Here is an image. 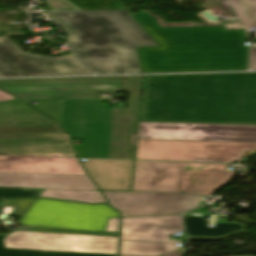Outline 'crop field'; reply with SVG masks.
I'll use <instances>...</instances> for the list:
<instances>
[{"label": "crop field", "mask_w": 256, "mask_h": 256, "mask_svg": "<svg viewBox=\"0 0 256 256\" xmlns=\"http://www.w3.org/2000/svg\"><path fill=\"white\" fill-rule=\"evenodd\" d=\"M141 120L256 124V72L145 76Z\"/></svg>", "instance_id": "crop-field-1"}, {"label": "crop field", "mask_w": 256, "mask_h": 256, "mask_svg": "<svg viewBox=\"0 0 256 256\" xmlns=\"http://www.w3.org/2000/svg\"><path fill=\"white\" fill-rule=\"evenodd\" d=\"M133 16L162 45L139 48L145 73L245 70L244 29L161 28L147 12Z\"/></svg>", "instance_id": "crop-field-2"}, {"label": "crop field", "mask_w": 256, "mask_h": 256, "mask_svg": "<svg viewBox=\"0 0 256 256\" xmlns=\"http://www.w3.org/2000/svg\"><path fill=\"white\" fill-rule=\"evenodd\" d=\"M48 13L68 35L65 43L96 74L141 73L135 47L158 46L125 10Z\"/></svg>", "instance_id": "crop-field-3"}, {"label": "crop field", "mask_w": 256, "mask_h": 256, "mask_svg": "<svg viewBox=\"0 0 256 256\" xmlns=\"http://www.w3.org/2000/svg\"><path fill=\"white\" fill-rule=\"evenodd\" d=\"M142 76H129L128 108H109L102 100H65L61 126L80 157L133 159Z\"/></svg>", "instance_id": "crop-field-4"}, {"label": "crop field", "mask_w": 256, "mask_h": 256, "mask_svg": "<svg viewBox=\"0 0 256 256\" xmlns=\"http://www.w3.org/2000/svg\"><path fill=\"white\" fill-rule=\"evenodd\" d=\"M235 172L225 164L136 161L132 191L185 192L211 196Z\"/></svg>", "instance_id": "crop-field-5"}, {"label": "crop field", "mask_w": 256, "mask_h": 256, "mask_svg": "<svg viewBox=\"0 0 256 256\" xmlns=\"http://www.w3.org/2000/svg\"><path fill=\"white\" fill-rule=\"evenodd\" d=\"M114 217H119V212L108 204L91 205L38 198L17 223L105 231L108 218Z\"/></svg>", "instance_id": "crop-field-6"}, {"label": "crop field", "mask_w": 256, "mask_h": 256, "mask_svg": "<svg viewBox=\"0 0 256 256\" xmlns=\"http://www.w3.org/2000/svg\"><path fill=\"white\" fill-rule=\"evenodd\" d=\"M124 76L0 80V89L22 99L99 98L100 91H122Z\"/></svg>", "instance_id": "crop-field-7"}, {"label": "crop field", "mask_w": 256, "mask_h": 256, "mask_svg": "<svg viewBox=\"0 0 256 256\" xmlns=\"http://www.w3.org/2000/svg\"><path fill=\"white\" fill-rule=\"evenodd\" d=\"M255 143L138 139L136 159L240 162Z\"/></svg>", "instance_id": "crop-field-8"}, {"label": "crop field", "mask_w": 256, "mask_h": 256, "mask_svg": "<svg viewBox=\"0 0 256 256\" xmlns=\"http://www.w3.org/2000/svg\"><path fill=\"white\" fill-rule=\"evenodd\" d=\"M183 231L180 215L122 218L120 254L159 256L179 249L182 241L168 240Z\"/></svg>", "instance_id": "crop-field-9"}, {"label": "crop field", "mask_w": 256, "mask_h": 256, "mask_svg": "<svg viewBox=\"0 0 256 256\" xmlns=\"http://www.w3.org/2000/svg\"><path fill=\"white\" fill-rule=\"evenodd\" d=\"M0 154L76 157L58 124L0 125Z\"/></svg>", "instance_id": "crop-field-10"}, {"label": "crop field", "mask_w": 256, "mask_h": 256, "mask_svg": "<svg viewBox=\"0 0 256 256\" xmlns=\"http://www.w3.org/2000/svg\"><path fill=\"white\" fill-rule=\"evenodd\" d=\"M92 74L73 55L47 57L25 53L9 38H0V77Z\"/></svg>", "instance_id": "crop-field-11"}, {"label": "crop field", "mask_w": 256, "mask_h": 256, "mask_svg": "<svg viewBox=\"0 0 256 256\" xmlns=\"http://www.w3.org/2000/svg\"><path fill=\"white\" fill-rule=\"evenodd\" d=\"M6 248L117 254L118 237L14 231Z\"/></svg>", "instance_id": "crop-field-12"}, {"label": "crop field", "mask_w": 256, "mask_h": 256, "mask_svg": "<svg viewBox=\"0 0 256 256\" xmlns=\"http://www.w3.org/2000/svg\"><path fill=\"white\" fill-rule=\"evenodd\" d=\"M138 138L256 143V125L140 122Z\"/></svg>", "instance_id": "crop-field-13"}, {"label": "crop field", "mask_w": 256, "mask_h": 256, "mask_svg": "<svg viewBox=\"0 0 256 256\" xmlns=\"http://www.w3.org/2000/svg\"><path fill=\"white\" fill-rule=\"evenodd\" d=\"M122 217L171 215L199 207L204 196L162 192H103Z\"/></svg>", "instance_id": "crop-field-14"}, {"label": "crop field", "mask_w": 256, "mask_h": 256, "mask_svg": "<svg viewBox=\"0 0 256 256\" xmlns=\"http://www.w3.org/2000/svg\"><path fill=\"white\" fill-rule=\"evenodd\" d=\"M0 171L86 175L77 158L0 155Z\"/></svg>", "instance_id": "crop-field-15"}, {"label": "crop field", "mask_w": 256, "mask_h": 256, "mask_svg": "<svg viewBox=\"0 0 256 256\" xmlns=\"http://www.w3.org/2000/svg\"><path fill=\"white\" fill-rule=\"evenodd\" d=\"M0 186L97 190L88 176L0 172Z\"/></svg>", "instance_id": "crop-field-16"}, {"label": "crop field", "mask_w": 256, "mask_h": 256, "mask_svg": "<svg viewBox=\"0 0 256 256\" xmlns=\"http://www.w3.org/2000/svg\"><path fill=\"white\" fill-rule=\"evenodd\" d=\"M83 164L100 190L130 191L133 161L87 159Z\"/></svg>", "instance_id": "crop-field-17"}, {"label": "crop field", "mask_w": 256, "mask_h": 256, "mask_svg": "<svg viewBox=\"0 0 256 256\" xmlns=\"http://www.w3.org/2000/svg\"><path fill=\"white\" fill-rule=\"evenodd\" d=\"M189 239L216 240L221 237L243 232L246 226L240 223H227V220L219 219L215 228L206 226L203 218L184 217Z\"/></svg>", "instance_id": "crop-field-18"}, {"label": "crop field", "mask_w": 256, "mask_h": 256, "mask_svg": "<svg viewBox=\"0 0 256 256\" xmlns=\"http://www.w3.org/2000/svg\"><path fill=\"white\" fill-rule=\"evenodd\" d=\"M0 123H56L19 99L0 102Z\"/></svg>", "instance_id": "crop-field-19"}, {"label": "crop field", "mask_w": 256, "mask_h": 256, "mask_svg": "<svg viewBox=\"0 0 256 256\" xmlns=\"http://www.w3.org/2000/svg\"><path fill=\"white\" fill-rule=\"evenodd\" d=\"M41 197L85 201L92 203H107L106 199L99 191H81V190H51L44 189Z\"/></svg>", "instance_id": "crop-field-20"}, {"label": "crop field", "mask_w": 256, "mask_h": 256, "mask_svg": "<svg viewBox=\"0 0 256 256\" xmlns=\"http://www.w3.org/2000/svg\"><path fill=\"white\" fill-rule=\"evenodd\" d=\"M246 28L256 26V0H229ZM251 68L256 70V48L251 49Z\"/></svg>", "instance_id": "crop-field-21"}, {"label": "crop field", "mask_w": 256, "mask_h": 256, "mask_svg": "<svg viewBox=\"0 0 256 256\" xmlns=\"http://www.w3.org/2000/svg\"><path fill=\"white\" fill-rule=\"evenodd\" d=\"M9 234H0V256H117L104 254L68 253L54 251L6 249L2 239Z\"/></svg>", "instance_id": "crop-field-22"}, {"label": "crop field", "mask_w": 256, "mask_h": 256, "mask_svg": "<svg viewBox=\"0 0 256 256\" xmlns=\"http://www.w3.org/2000/svg\"><path fill=\"white\" fill-rule=\"evenodd\" d=\"M34 200H6L1 213L21 217Z\"/></svg>", "instance_id": "crop-field-23"}, {"label": "crop field", "mask_w": 256, "mask_h": 256, "mask_svg": "<svg viewBox=\"0 0 256 256\" xmlns=\"http://www.w3.org/2000/svg\"><path fill=\"white\" fill-rule=\"evenodd\" d=\"M43 189L0 187V198L39 196Z\"/></svg>", "instance_id": "crop-field-24"}, {"label": "crop field", "mask_w": 256, "mask_h": 256, "mask_svg": "<svg viewBox=\"0 0 256 256\" xmlns=\"http://www.w3.org/2000/svg\"><path fill=\"white\" fill-rule=\"evenodd\" d=\"M62 104L63 101H38L36 108L60 122Z\"/></svg>", "instance_id": "crop-field-25"}, {"label": "crop field", "mask_w": 256, "mask_h": 256, "mask_svg": "<svg viewBox=\"0 0 256 256\" xmlns=\"http://www.w3.org/2000/svg\"><path fill=\"white\" fill-rule=\"evenodd\" d=\"M32 231H47V232H63V233H78V234L118 236V232L75 231V230H66V229L40 227V226H34Z\"/></svg>", "instance_id": "crop-field-26"}, {"label": "crop field", "mask_w": 256, "mask_h": 256, "mask_svg": "<svg viewBox=\"0 0 256 256\" xmlns=\"http://www.w3.org/2000/svg\"><path fill=\"white\" fill-rule=\"evenodd\" d=\"M53 10H81L67 0H45Z\"/></svg>", "instance_id": "crop-field-27"}, {"label": "crop field", "mask_w": 256, "mask_h": 256, "mask_svg": "<svg viewBox=\"0 0 256 256\" xmlns=\"http://www.w3.org/2000/svg\"><path fill=\"white\" fill-rule=\"evenodd\" d=\"M119 218L109 219L106 231H118Z\"/></svg>", "instance_id": "crop-field-28"}, {"label": "crop field", "mask_w": 256, "mask_h": 256, "mask_svg": "<svg viewBox=\"0 0 256 256\" xmlns=\"http://www.w3.org/2000/svg\"><path fill=\"white\" fill-rule=\"evenodd\" d=\"M182 253L183 252H180V251H173V252L162 254L160 256H180L182 255ZM119 256H129V255H119Z\"/></svg>", "instance_id": "crop-field-29"}, {"label": "crop field", "mask_w": 256, "mask_h": 256, "mask_svg": "<svg viewBox=\"0 0 256 256\" xmlns=\"http://www.w3.org/2000/svg\"><path fill=\"white\" fill-rule=\"evenodd\" d=\"M7 99H15V97L3 92L0 90V101L1 100H7Z\"/></svg>", "instance_id": "crop-field-30"}, {"label": "crop field", "mask_w": 256, "mask_h": 256, "mask_svg": "<svg viewBox=\"0 0 256 256\" xmlns=\"http://www.w3.org/2000/svg\"><path fill=\"white\" fill-rule=\"evenodd\" d=\"M4 201L5 200L0 201V211H1L2 207H3Z\"/></svg>", "instance_id": "crop-field-31"}]
</instances>
